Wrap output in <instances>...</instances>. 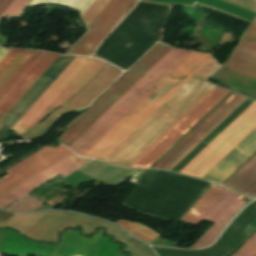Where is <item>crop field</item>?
Instances as JSON below:
<instances>
[{"label": "crop field", "mask_w": 256, "mask_h": 256, "mask_svg": "<svg viewBox=\"0 0 256 256\" xmlns=\"http://www.w3.org/2000/svg\"><path fill=\"white\" fill-rule=\"evenodd\" d=\"M89 1L90 0H31L28 5L58 3L78 9L81 12ZM137 1L138 0H91L81 12L82 18L89 31L70 48L67 54L88 56Z\"/></svg>", "instance_id": "dd49c442"}, {"label": "crop field", "mask_w": 256, "mask_h": 256, "mask_svg": "<svg viewBox=\"0 0 256 256\" xmlns=\"http://www.w3.org/2000/svg\"><path fill=\"white\" fill-rule=\"evenodd\" d=\"M58 56L35 51L0 89V120Z\"/></svg>", "instance_id": "d8731c3e"}, {"label": "crop field", "mask_w": 256, "mask_h": 256, "mask_svg": "<svg viewBox=\"0 0 256 256\" xmlns=\"http://www.w3.org/2000/svg\"><path fill=\"white\" fill-rule=\"evenodd\" d=\"M224 190L225 188L213 185L181 221L193 224ZM238 197L239 195L226 189L194 225L198 226L203 219L214 223ZM241 198L242 196L190 248H199L213 243L225 225L246 204L240 201Z\"/></svg>", "instance_id": "e52e79f7"}, {"label": "crop field", "mask_w": 256, "mask_h": 256, "mask_svg": "<svg viewBox=\"0 0 256 256\" xmlns=\"http://www.w3.org/2000/svg\"><path fill=\"white\" fill-rule=\"evenodd\" d=\"M256 127V101L215 137L179 172L202 178ZM256 152V128L240 141L203 179L222 184Z\"/></svg>", "instance_id": "412701ff"}, {"label": "crop field", "mask_w": 256, "mask_h": 256, "mask_svg": "<svg viewBox=\"0 0 256 256\" xmlns=\"http://www.w3.org/2000/svg\"><path fill=\"white\" fill-rule=\"evenodd\" d=\"M222 67L256 80V20L245 31Z\"/></svg>", "instance_id": "22f410ed"}, {"label": "crop field", "mask_w": 256, "mask_h": 256, "mask_svg": "<svg viewBox=\"0 0 256 256\" xmlns=\"http://www.w3.org/2000/svg\"><path fill=\"white\" fill-rule=\"evenodd\" d=\"M239 95L233 93L227 98L207 119H205L193 132H191L180 144H178L158 165L154 168L162 169L169 163L192 139H194L204 128L215 120ZM246 97L240 96L234 101L215 121L204 129L193 141H191L169 164L163 169L170 171L185 156H187L213 129H215L229 114H231Z\"/></svg>", "instance_id": "5a996713"}, {"label": "crop field", "mask_w": 256, "mask_h": 256, "mask_svg": "<svg viewBox=\"0 0 256 256\" xmlns=\"http://www.w3.org/2000/svg\"><path fill=\"white\" fill-rule=\"evenodd\" d=\"M218 66L211 58L104 161L132 167L216 88L204 79Z\"/></svg>", "instance_id": "34b2d1b8"}, {"label": "crop field", "mask_w": 256, "mask_h": 256, "mask_svg": "<svg viewBox=\"0 0 256 256\" xmlns=\"http://www.w3.org/2000/svg\"><path fill=\"white\" fill-rule=\"evenodd\" d=\"M70 152L72 151L61 144L57 148L47 146L43 147L33 155L6 171L8 174L0 178V196Z\"/></svg>", "instance_id": "28ad6ade"}, {"label": "crop field", "mask_w": 256, "mask_h": 256, "mask_svg": "<svg viewBox=\"0 0 256 256\" xmlns=\"http://www.w3.org/2000/svg\"><path fill=\"white\" fill-rule=\"evenodd\" d=\"M153 1H158V2H163V3H172V4H185V5H192V3L194 1H196V2L202 3L204 5H207V6H210V7L219 9V10H222L224 12H227V13H230V14L242 17V18L250 20V21H252L253 18L255 17V15H256V13H253L251 11H248V10L242 9L240 7L231 5V4L223 2L221 0H216V1H219L221 3H224V4H227V5L233 6L235 8L247 11V12L255 14V15L249 14L247 12L235 9L233 7L221 4V3L213 1V0H153Z\"/></svg>", "instance_id": "d9b57169"}, {"label": "crop field", "mask_w": 256, "mask_h": 256, "mask_svg": "<svg viewBox=\"0 0 256 256\" xmlns=\"http://www.w3.org/2000/svg\"><path fill=\"white\" fill-rule=\"evenodd\" d=\"M126 241H128L129 243H131L134 246H136L139 249H141L147 256H156L155 253L151 250V248H149L145 244H143V243H141V242L131 238L130 236L127 237Z\"/></svg>", "instance_id": "214f88e0"}, {"label": "crop field", "mask_w": 256, "mask_h": 256, "mask_svg": "<svg viewBox=\"0 0 256 256\" xmlns=\"http://www.w3.org/2000/svg\"><path fill=\"white\" fill-rule=\"evenodd\" d=\"M34 51L10 49L0 61V88L19 69Z\"/></svg>", "instance_id": "cbeb9de0"}, {"label": "crop field", "mask_w": 256, "mask_h": 256, "mask_svg": "<svg viewBox=\"0 0 256 256\" xmlns=\"http://www.w3.org/2000/svg\"><path fill=\"white\" fill-rule=\"evenodd\" d=\"M75 57L68 56L65 61L63 60L64 62L62 61L63 63L61 65L53 63L4 116L0 123L11 129ZM104 64L105 62L99 59L77 56L11 130L21 136L53 109L60 107ZM121 73L122 70L106 63L62 107L54 110L52 115L60 117L66 112L87 107Z\"/></svg>", "instance_id": "8a807250"}, {"label": "crop field", "mask_w": 256, "mask_h": 256, "mask_svg": "<svg viewBox=\"0 0 256 256\" xmlns=\"http://www.w3.org/2000/svg\"><path fill=\"white\" fill-rule=\"evenodd\" d=\"M255 247H256V233L234 256H248L255 249ZM249 256H256V249Z\"/></svg>", "instance_id": "bc2a9ffb"}, {"label": "crop field", "mask_w": 256, "mask_h": 256, "mask_svg": "<svg viewBox=\"0 0 256 256\" xmlns=\"http://www.w3.org/2000/svg\"><path fill=\"white\" fill-rule=\"evenodd\" d=\"M13 0H0V17Z\"/></svg>", "instance_id": "92a150f3"}, {"label": "crop field", "mask_w": 256, "mask_h": 256, "mask_svg": "<svg viewBox=\"0 0 256 256\" xmlns=\"http://www.w3.org/2000/svg\"><path fill=\"white\" fill-rule=\"evenodd\" d=\"M90 160L92 159L77 156L73 152L70 153L69 155L49 166L42 172L22 183L15 189L0 197V206L4 207L8 205L12 201L16 200L17 198L32 190L36 186L40 185L41 183L47 182L59 173L63 177L68 175L69 173L76 170Z\"/></svg>", "instance_id": "d1516ede"}, {"label": "crop field", "mask_w": 256, "mask_h": 256, "mask_svg": "<svg viewBox=\"0 0 256 256\" xmlns=\"http://www.w3.org/2000/svg\"><path fill=\"white\" fill-rule=\"evenodd\" d=\"M117 224H119L120 226H122L123 228H125L126 230L131 232L133 235H135L149 243L160 236V235L154 233L153 231L147 229L146 227H144L140 224H137V223L120 220L119 222H117Z\"/></svg>", "instance_id": "733c2abd"}, {"label": "crop field", "mask_w": 256, "mask_h": 256, "mask_svg": "<svg viewBox=\"0 0 256 256\" xmlns=\"http://www.w3.org/2000/svg\"><path fill=\"white\" fill-rule=\"evenodd\" d=\"M228 93L229 91L217 87L133 167L149 168Z\"/></svg>", "instance_id": "3316defc"}, {"label": "crop field", "mask_w": 256, "mask_h": 256, "mask_svg": "<svg viewBox=\"0 0 256 256\" xmlns=\"http://www.w3.org/2000/svg\"><path fill=\"white\" fill-rule=\"evenodd\" d=\"M210 79L256 96V82L219 68Z\"/></svg>", "instance_id": "5142ce71"}, {"label": "crop field", "mask_w": 256, "mask_h": 256, "mask_svg": "<svg viewBox=\"0 0 256 256\" xmlns=\"http://www.w3.org/2000/svg\"><path fill=\"white\" fill-rule=\"evenodd\" d=\"M172 49L159 43L92 107L71 121L58 140L69 147ZM191 53L174 48L69 148L83 155Z\"/></svg>", "instance_id": "ac0d7876"}, {"label": "crop field", "mask_w": 256, "mask_h": 256, "mask_svg": "<svg viewBox=\"0 0 256 256\" xmlns=\"http://www.w3.org/2000/svg\"><path fill=\"white\" fill-rule=\"evenodd\" d=\"M30 0H14L3 15L20 16Z\"/></svg>", "instance_id": "4a817a6b"}, {"label": "crop field", "mask_w": 256, "mask_h": 256, "mask_svg": "<svg viewBox=\"0 0 256 256\" xmlns=\"http://www.w3.org/2000/svg\"><path fill=\"white\" fill-rule=\"evenodd\" d=\"M210 58L193 52L84 155L105 158Z\"/></svg>", "instance_id": "f4fd0767"}]
</instances>
